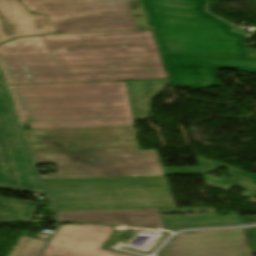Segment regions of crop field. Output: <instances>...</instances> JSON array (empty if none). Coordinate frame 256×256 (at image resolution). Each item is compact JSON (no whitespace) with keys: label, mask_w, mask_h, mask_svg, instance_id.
<instances>
[{"label":"crop field","mask_w":256,"mask_h":256,"mask_svg":"<svg viewBox=\"0 0 256 256\" xmlns=\"http://www.w3.org/2000/svg\"><path fill=\"white\" fill-rule=\"evenodd\" d=\"M197 159L200 164H203L202 166H200V167H181V168H163L164 173H165V175L202 174L208 185H211V186H214V187L226 190V191L230 190L234 186L245 188L248 190L245 193L251 194L250 196H248V197H250L248 201L250 203L256 204V198H254V196H256V175L243 172L236 168L226 167V164H223V163L205 160V159H201V158H197ZM220 167L229 168L228 171L241 174V176L228 172L227 173L228 175L236 176L239 178L231 176L232 179L226 180V179H217V178L205 175L207 173L217 170ZM167 169H190V171H166ZM170 172H175V174H166V173H170Z\"/></svg>","instance_id":"d1516ede"},{"label":"crop field","mask_w":256,"mask_h":256,"mask_svg":"<svg viewBox=\"0 0 256 256\" xmlns=\"http://www.w3.org/2000/svg\"><path fill=\"white\" fill-rule=\"evenodd\" d=\"M34 160L56 163L42 179L164 176L157 150L137 151L134 127L25 131Z\"/></svg>","instance_id":"ac0d7876"},{"label":"crop field","mask_w":256,"mask_h":256,"mask_svg":"<svg viewBox=\"0 0 256 256\" xmlns=\"http://www.w3.org/2000/svg\"><path fill=\"white\" fill-rule=\"evenodd\" d=\"M111 233L107 225H61L41 256H125L100 249Z\"/></svg>","instance_id":"5a996713"},{"label":"crop field","mask_w":256,"mask_h":256,"mask_svg":"<svg viewBox=\"0 0 256 256\" xmlns=\"http://www.w3.org/2000/svg\"><path fill=\"white\" fill-rule=\"evenodd\" d=\"M0 63L7 84L167 78L150 30L26 37Z\"/></svg>","instance_id":"8a807250"},{"label":"crop field","mask_w":256,"mask_h":256,"mask_svg":"<svg viewBox=\"0 0 256 256\" xmlns=\"http://www.w3.org/2000/svg\"><path fill=\"white\" fill-rule=\"evenodd\" d=\"M0 81H3L1 75H0Z\"/></svg>","instance_id":"bc2a9ffb"},{"label":"crop field","mask_w":256,"mask_h":256,"mask_svg":"<svg viewBox=\"0 0 256 256\" xmlns=\"http://www.w3.org/2000/svg\"><path fill=\"white\" fill-rule=\"evenodd\" d=\"M60 222H99L164 228L158 209L56 212Z\"/></svg>","instance_id":"28ad6ade"},{"label":"crop field","mask_w":256,"mask_h":256,"mask_svg":"<svg viewBox=\"0 0 256 256\" xmlns=\"http://www.w3.org/2000/svg\"><path fill=\"white\" fill-rule=\"evenodd\" d=\"M56 211L175 207L165 177L42 180ZM84 186L83 188H58ZM114 186V187H96ZM115 188V190H103ZM116 194V196H95ZM122 194H133L122 196ZM126 197H138L125 199Z\"/></svg>","instance_id":"f4fd0767"},{"label":"crop field","mask_w":256,"mask_h":256,"mask_svg":"<svg viewBox=\"0 0 256 256\" xmlns=\"http://www.w3.org/2000/svg\"><path fill=\"white\" fill-rule=\"evenodd\" d=\"M207 211L212 214H189V215H166L161 216L163 212H201ZM214 209H184V210H159L165 229L200 226V225H216V224H232L239 223L236 216L217 217L213 214Z\"/></svg>","instance_id":"22f410ed"},{"label":"crop field","mask_w":256,"mask_h":256,"mask_svg":"<svg viewBox=\"0 0 256 256\" xmlns=\"http://www.w3.org/2000/svg\"><path fill=\"white\" fill-rule=\"evenodd\" d=\"M241 218V221L244 222V221H254L256 220V216H247V217H240Z\"/></svg>","instance_id":"733c2abd"},{"label":"crop field","mask_w":256,"mask_h":256,"mask_svg":"<svg viewBox=\"0 0 256 256\" xmlns=\"http://www.w3.org/2000/svg\"><path fill=\"white\" fill-rule=\"evenodd\" d=\"M46 15H32L18 0H0V43L12 38L56 33Z\"/></svg>","instance_id":"3316defc"},{"label":"crop field","mask_w":256,"mask_h":256,"mask_svg":"<svg viewBox=\"0 0 256 256\" xmlns=\"http://www.w3.org/2000/svg\"><path fill=\"white\" fill-rule=\"evenodd\" d=\"M134 119L148 117L149 104L153 96L165 85L167 81H138L127 82Z\"/></svg>","instance_id":"cbeb9de0"},{"label":"crop field","mask_w":256,"mask_h":256,"mask_svg":"<svg viewBox=\"0 0 256 256\" xmlns=\"http://www.w3.org/2000/svg\"><path fill=\"white\" fill-rule=\"evenodd\" d=\"M46 241L21 237L9 256H37Z\"/></svg>","instance_id":"d9b57169"},{"label":"crop field","mask_w":256,"mask_h":256,"mask_svg":"<svg viewBox=\"0 0 256 256\" xmlns=\"http://www.w3.org/2000/svg\"><path fill=\"white\" fill-rule=\"evenodd\" d=\"M163 53L249 57L243 35L204 12L207 0H145Z\"/></svg>","instance_id":"412701ff"},{"label":"crop field","mask_w":256,"mask_h":256,"mask_svg":"<svg viewBox=\"0 0 256 256\" xmlns=\"http://www.w3.org/2000/svg\"><path fill=\"white\" fill-rule=\"evenodd\" d=\"M174 87L200 89L219 86L215 71L219 68L256 73V59L163 55Z\"/></svg>","instance_id":"d8731c3e"},{"label":"crop field","mask_w":256,"mask_h":256,"mask_svg":"<svg viewBox=\"0 0 256 256\" xmlns=\"http://www.w3.org/2000/svg\"><path fill=\"white\" fill-rule=\"evenodd\" d=\"M0 187L43 193L5 88L0 85Z\"/></svg>","instance_id":"e52e79f7"},{"label":"crop field","mask_w":256,"mask_h":256,"mask_svg":"<svg viewBox=\"0 0 256 256\" xmlns=\"http://www.w3.org/2000/svg\"><path fill=\"white\" fill-rule=\"evenodd\" d=\"M249 51L254 53L253 57H256V49H249Z\"/></svg>","instance_id":"4a817a6b"},{"label":"crop field","mask_w":256,"mask_h":256,"mask_svg":"<svg viewBox=\"0 0 256 256\" xmlns=\"http://www.w3.org/2000/svg\"><path fill=\"white\" fill-rule=\"evenodd\" d=\"M61 33L150 29L140 0H21Z\"/></svg>","instance_id":"dd49c442"},{"label":"crop field","mask_w":256,"mask_h":256,"mask_svg":"<svg viewBox=\"0 0 256 256\" xmlns=\"http://www.w3.org/2000/svg\"><path fill=\"white\" fill-rule=\"evenodd\" d=\"M40 203L0 198V222H30Z\"/></svg>","instance_id":"5142ce71"},{"label":"crop field","mask_w":256,"mask_h":256,"mask_svg":"<svg viewBox=\"0 0 256 256\" xmlns=\"http://www.w3.org/2000/svg\"><path fill=\"white\" fill-rule=\"evenodd\" d=\"M9 87L32 129L134 126L124 82Z\"/></svg>","instance_id":"34b2d1b8"}]
</instances>
